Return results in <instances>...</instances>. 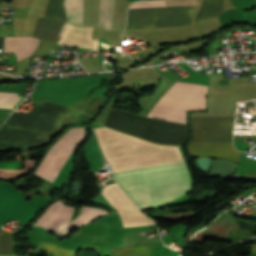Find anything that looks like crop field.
I'll use <instances>...</instances> for the list:
<instances>
[{
	"mask_svg": "<svg viewBox=\"0 0 256 256\" xmlns=\"http://www.w3.org/2000/svg\"><path fill=\"white\" fill-rule=\"evenodd\" d=\"M116 182L124 191L187 181L184 162L114 172ZM190 181L128 191L139 208L166 203L190 189Z\"/></svg>",
	"mask_w": 256,
	"mask_h": 256,
	"instance_id": "1",
	"label": "crop field"
},
{
	"mask_svg": "<svg viewBox=\"0 0 256 256\" xmlns=\"http://www.w3.org/2000/svg\"><path fill=\"white\" fill-rule=\"evenodd\" d=\"M70 108L53 102L41 101L28 114L13 112L3 125L54 133ZM0 127V150L31 148L44 142L46 134L26 129Z\"/></svg>",
	"mask_w": 256,
	"mask_h": 256,
	"instance_id": "2",
	"label": "crop field"
},
{
	"mask_svg": "<svg viewBox=\"0 0 256 256\" xmlns=\"http://www.w3.org/2000/svg\"><path fill=\"white\" fill-rule=\"evenodd\" d=\"M105 126L160 144L182 145L187 138L186 125L143 118L114 109Z\"/></svg>",
	"mask_w": 256,
	"mask_h": 256,
	"instance_id": "3",
	"label": "crop field"
},
{
	"mask_svg": "<svg viewBox=\"0 0 256 256\" xmlns=\"http://www.w3.org/2000/svg\"><path fill=\"white\" fill-rule=\"evenodd\" d=\"M207 86L175 82L159 100V104L189 111L204 110ZM156 104L148 117L184 124L185 110Z\"/></svg>",
	"mask_w": 256,
	"mask_h": 256,
	"instance_id": "4",
	"label": "crop field"
},
{
	"mask_svg": "<svg viewBox=\"0 0 256 256\" xmlns=\"http://www.w3.org/2000/svg\"><path fill=\"white\" fill-rule=\"evenodd\" d=\"M46 202L47 199L36 195L26 202L22 193L12 185L0 182V224L18 218L21 223H28Z\"/></svg>",
	"mask_w": 256,
	"mask_h": 256,
	"instance_id": "5",
	"label": "crop field"
},
{
	"mask_svg": "<svg viewBox=\"0 0 256 256\" xmlns=\"http://www.w3.org/2000/svg\"><path fill=\"white\" fill-rule=\"evenodd\" d=\"M72 211L73 208L66 207L62 205L61 202L56 201L48 206L43 215L32 225L42 226L58 234L65 229L72 215ZM102 214H107V212L96 208L82 206L81 214L75 220H71L67 229L61 234L67 233L77 226L88 223Z\"/></svg>",
	"mask_w": 256,
	"mask_h": 256,
	"instance_id": "6",
	"label": "crop field"
},
{
	"mask_svg": "<svg viewBox=\"0 0 256 256\" xmlns=\"http://www.w3.org/2000/svg\"><path fill=\"white\" fill-rule=\"evenodd\" d=\"M234 118H190L192 142H232Z\"/></svg>",
	"mask_w": 256,
	"mask_h": 256,
	"instance_id": "7",
	"label": "crop field"
},
{
	"mask_svg": "<svg viewBox=\"0 0 256 256\" xmlns=\"http://www.w3.org/2000/svg\"><path fill=\"white\" fill-rule=\"evenodd\" d=\"M79 141L62 136L50 149L35 174L53 182L61 167Z\"/></svg>",
	"mask_w": 256,
	"mask_h": 256,
	"instance_id": "8",
	"label": "crop field"
},
{
	"mask_svg": "<svg viewBox=\"0 0 256 256\" xmlns=\"http://www.w3.org/2000/svg\"><path fill=\"white\" fill-rule=\"evenodd\" d=\"M83 0H64L67 20L70 23L82 25ZM113 0H100L98 26L110 29Z\"/></svg>",
	"mask_w": 256,
	"mask_h": 256,
	"instance_id": "9",
	"label": "crop field"
},
{
	"mask_svg": "<svg viewBox=\"0 0 256 256\" xmlns=\"http://www.w3.org/2000/svg\"><path fill=\"white\" fill-rule=\"evenodd\" d=\"M187 148L191 156H214L239 162L240 152L232 143H190Z\"/></svg>",
	"mask_w": 256,
	"mask_h": 256,
	"instance_id": "10",
	"label": "crop field"
},
{
	"mask_svg": "<svg viewBox=\"0 0 256 256\" xmlns=\"http://www.w3.org/2000/svg\"><path fill=\"white\" fill-rule=\"evenodd\" d=\"M39 45V40L32 37L5 38L3 52H15L18 61L30 56Z\"/></svg>",
	"mask_w": 256,
	"mask_h": 256,
	"instance_id": "11",
	"label": "crop field"
},
{
	"mask_svg": "<svg viewBox=\"0 0 256 256\" xmlns=\"http://www.w3.org/2000/svg\"><path fill=\"white\" fill-rule=\"evenodd\" d=\"M151 246L111 248L114 256H150Z\"/></svg>",
	"mask_w": 256,
	"mask_h": 256,
	"instance_id": "12",
	"label": "crop field"
},
{
	"mask_svg": "<svg viewBox=\"0 0 256 256\" xmlns=\"http://www.w3.org/2000/svg\"><path fill=\"white\" fill-rule=\"evenodd\" d=\"M36 159H26L24 160V170L18 171V170H5L0 169V178H4L7 180H13L17 177H20L26 173L29 172L31 167L33 166Z\"/></svg>",
	"mask_w": 256,
	"mask_h": 256,
	"instance_id": "13",
	"label": "crop field"
},
{
	"mask_svg": "<svg viewBox=\"0 0 256 256\" xmlns=\"http://www.w3.org/2000/svg\"><path fill=\"white\" fill-rule=\"evenodd\" d=\"M39 247L56 256H75L76 250L63 249L55 244L48 242H40Z\"/></svg>",
	"mask_w": 256,
	"mask_h": 256,
	"instance_id": "14",
	"label": "crop field"
},
{
	"mask_svg": "<svg viewBox=\"0 0 256 256\" xmlns=\"http://www.w3.org/2000/svg\"><path fill=\"white\" fill-rule=\"evenodd\" d=\"M12 253V239L11 233L0 229V254L11 255Z\"/></svg>",
	"mask_w": 256,
	"mask_h": 256,
	"instance_id": "15",
	"label": "crop field"
},
{
	"mask_svg": "<svg viewBox=\"0 0 256 256\" xmlns=\"http://www.w3.org/2000/svg\"><path fill=\"white\" fill-rule=\"evenodd\" d=\"M157 6H166L164 0H148V1H138L130 5L129 8H138V7H157Z\"/></svg>",
	"mask_w": 256,
	"mask_h": 256,
	"instance_id": "16",
	"label": "crop field"
},
{
	"mask_svg": "<svg viewBox=\"0 0 256 256\" xmlns=\"http://www.w3.org/2000/svg\"><path fill=\"white\" fill-rule=\"evenodd\" d=\"M104 99L96 97L94 101L87 107L84 113L89 114L91 116L99 109Z\"/></svg>",
	"mask_w": 256,
	"mask_h": 256,
	"instance_id": "17",
	"label": "crop field"
},
{
	"mask_svg": "<svg viewBox=\"0 0 256 256\" xmlns=\"http://www.w3.org/2000/svg\"><path fill=\"white\" fill-rule=\"evenodd\" d=\"M249 179H256V173L253 174H247Z\"/></svg>",
	"mask_w": 256,
	"mask_h": 256,
	"instance_id": "18",
	"label": "crop field"
}]
</instances>
